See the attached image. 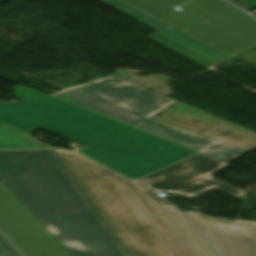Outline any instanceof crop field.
Here are the masks:
<instances>
[{
    "mask_svg": "<svg viewBox=\"0 0 256 256\" xmlns=\"http://www.w3.org/2000/svg\"><path fill=\"white\" fill-rule=\"evenodd\" d=\"M0 231L24 256H70L2 183Z\"/></svg>",
    "mask_w": 256,
    "mask_h": 256,
    "instance_id": "e52e79f7",
    "label": "crop field"
},
{
    "mask_svg": "<svg viewBox=\"0 0 256 256\" xmlns=\"http://www.w3.org/2000/svg\"><path fill=\"white\" fill-rule=\"evenodd\" d=\"M227 1L233 3L234 5L240 7L241 9L249 12L248 9L245 7V5L241 2V0H227Z\"/></svg>",
    "mask_w": 256,
    "mask_h": 256,
    "instance_id": "cbeb9de0",
    "label": "crop field"
},
{
    "mask_svg": "<svg viewBox=\"0 0 256 256\" xmlns=\"http://www.w3.org/2000/svg\"><path fill=\"white\" fill-rule=\"evenodd\" d=\"M0 182L72 256H128L51 149L0 151Z\"/></svg>",
    "mask_w": 256,
    "mask_h": 256,
    "instance_id": "34b2d1b8",
    "label": "crop field"
},
{
    "mask_svg": "<svg viewBox=\"0 0 256 256\" xmlns=\"http://www.w3.org/2000/svg\"><path fill=\"white\" fill-rule=\"evenodd\" d=\"M50 96L226 162L246 152L149 118L175 100L114 75Z\"/></svg>",
    "mask_w": 256,
    "mask_h": 256,
    "instance_id": "412701ff",
    "label": "crop field"
},
{
    "mask_svg": "<svg viewBox=\"0 0 256 256\" xmlns=\"http://www.w3.org/2000/svg\"><path fill=\"white\" fill-rule=\"evenodd\" d=\"M186 214L194 219L219 256H256L255 222H233L195 211Z\"/></svg>",
    "mask_w": 256,
    "mask_h": 256,
    "instance_id": "d8731c3e",
    "label": "crop field"
},
{
    "mask_svg": "<svg viewBox=\"0 0 256 256\" xmlns=\"http://www.w3.org/2000/svg\"><path fill=\"white\" fill-rule=\"evenodd\" d=\"M228 165L226 162L198 153L136 182L156 192L174 193L190 198L209 188H217L242 198L244 190L216 180L210 175Z\"/></svg>",
    "mask_w": 256,
    "mask_h": 256,
    "instance_id": "dd49c442",
    "label": "crop field"
},
{
    "mask_svg": "<svg viewBox=\"0 0 256 256\" xmlns=\"http://www.w3.org/2000/svg\"><path fill=\"white\" fill-rule=\"evenodd\" d=\"M125 1L220 51L256 44V20L223 0Z\"/></svg>",
    "mask_w": 256,
    "mask_h": 256,
    "instance_id": "f4fd0767",
    "label": "crop field"
},
{
    "mask_svg": "<svg viewBox=\"0 0 256 256\" xmlns=\"http://www.w3.org/2000/svg\"><path fill=\"white\" fill-rule=\"evenodd\" d=\"M16 103L0 102V124L25 135L42 127L89 147L78 152L135 179L197 152L37 93L13 87Z\"/></svg>",
    "mask_w": 256,
    "mask_h": 256,
    "instance_id": "8a807250",
    "label": "crop field"
},
{
    "mask_svg": "<svg viewBox=\"0 0 256 256\" xmlns=\"http://www.w3.org/2000/svg\"><path fill=\"white\" fill-rule=\"evenodd\" d=\"M148 38L152 39L153 41L157 42L158 44L164 46L165 48L175 52L176 54L200 65L201 67L209 70L215 66H217L218 64H224V63H231V62H234V61H237V60H242L244 62H247L245 61L244 59L238 57V56H235V55H231L217 63H213L203 57H201L200 55L190 51L189 49L177 44L176 42L166 38L165 36L157 33V34H154V35H150V36H147ZM249 63V62H247ZM249 64H252V63H249ZM252 65H255L256 64H252Z\"/></svg>",
    "mask_w": 256,
    "mask_h": 256,
    "instance_id": "3316defc",
    "label": "crop field"
},
{
    "mask_svg": "<svg viewBox=\"0 0 256 256\" xmlns=\"http://www.w3.org/2000/svg\"><path fill=\"white\" fill-rule=\"evenodd\" d=\"M118 11L140 21L141 23L155 29L166 37L178 42L179 44L189 48L190 50L202 55L203 57L217 62L231 54L216 52L207 46L199 43L198 41L176 31L175 29L167 26L166 24L158 21L157 19L149 16L148 14L134 8L133 6L121 0H101Z\"/></svg>",
    "mask_w": 256,
    "mask_h": 256,
    "instance_id": "5a996713",
    "label": "crop field"
},
{
    "mask_svg": "<svg viewBox=\"0 0 256 256\" xmlns=\"http://www.w3.org/2000/svg\"><path fill=\"white\" fill-rule=\"evenodd\" d=\"M250 10L256 8V0H243Z\"/></svg>",
    "mask_w": 256,
    "mask_h": 256,
    "instance_id": "5142ce71",
    "label": "crop field"
},
{
    "mask_svg": "<svg viewBox=\"0 0 256 256\" xmlns=\"http://www.w3.org/2000/svg\"><path fill=\"white\" fill-rule=\"evenodd\" d=\"M53 150L131 256H215L191 221L154 193L77 153Z\"/></svg>",
    "mask_w": 256,
    "mask_h": 256,
    "instance_id": "ac0d7876",
    "label": "crop field"
},
{
    "mask_svg": "<svg viewBox=\"0 0 256 256\" xmlns=\"http://www.w3.org/2000/svg\"><path fill=\"white\" fill-rule=\"evenodd\" d=\"M1 1H6V0H0V2H1Z\"/></svg>",
    "mask_w": 256,
    "mask_h": 256,
    "instance_id": "d9b57169",
    "label": "crop field"
},
{
    "mask_svg": "<svg viewBox=\"0 0 256 256\" xmlns=\"http://www.w3.org/2000/svg\"><path fill=\"white\" fill-rule=\"evenodd\" d=\"M44 147L33 143L29 138L9 126H0V148Z\"/></svg>",
    "mask_w": 256,
    "mask_h": 256,
    "instance_id": "28ad6ade",
    "label": "crop field"
},
{
    "mask_svg": "<svg viewBox=\"0 0 256 256\" xmlns=\"http://www.w3.org/2000/svg\"><path fill=\"white\" fill-rule=\"evenodd\" d=\"M238 55L243 56L249 60L256 62V46H253L245 51L238 53Z\"/></svg>",
    "mask_w": 256,
    "mask_h": 256,
    "instance_id": "22f410ed",
    "label": "crop field"
},
{
    "mask_svg": "<svg viewBox=\"0 0 256 256\" xmlns=\"http://www.w3.org/2000/svg\"><path fill=\"white\" fill-rule=\"evenodd\" d=\"M0 256H20L11 244L0 234Z\"/></svg>",
    "mask_w": 256,
    "mask_h": 256,
    "instance_id": "d1516ede",
    "label": "crop field"
}]
</instances>
